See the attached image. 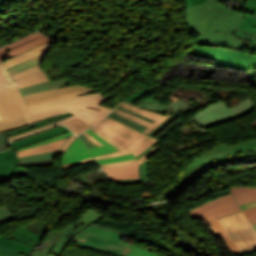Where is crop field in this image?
Segmentation results:
<instances>
[{"mask_svg": "<svg viewBox=\"0 0 256 256\" xmlns=\"http://www.w3.org/2000/svg\"><path fill=\"white\" fill-rule=\"evenodd\" d=\"M184 23L197 35L194 44L244 51L249 45L232 35L245 14L226 8L215 0L184 9Z\"/></svg>", "mask_w": 256, "mask_h": 256, "instance_id": "8a807250", "label": "crop field"}, {"mask_svg": "<svg viewBox=\"0 0 256 256\" xmlns=\"http://www.w3.org/2000/svg\"><path fill=\"white\" fill-rule=\"evenodd\" d=\"M109 97L110 96L101 97V93L99 92L48 103L30 105L28 108L31 114L26 115L30 124L45 118L63 114L68 111L74 113L75 115L58 123L10 137L9 140L12 141L14 139L53 127L76 116L80 117L81 119L93 126L94 124L98 123L104 116H106L110 111H112V109L108 107H102L98 105Z\"/></svg>", "mask_w": 256, "mask_h": 256, "instance_id": "ac0d7876", "label": "crop field"}, {"mask_svg": "<svg viewBox=\"0 0 256 256\" xmlns=\"http://www.w3.org/2000/svg\"><path fill=\"white\" fill-rule=\"evenodd\" d=\"M240 211L232 194H226L210 200L189 211L192 218H203L206 220L215 232L222 238L232 256L241 254L229 235L217 221V217H221L233 212Z\"/></svg>", "mask_w": 256, "mask_h": 256, "instance_id": "34b2d1b8", "label": "crop field"}, {"mask_svg": "<svg viewBox=\"0 0 256 256\" xmlns=\"http://www.w3.org/2000/svg\"><path fill=\"white\" fill-rule=\"evenodd\" d=\"M102 217L94 210L90 209L84 213L78 220L67 225L60 232L57 230H49L46 237L42 241L45 244L41 248H37L32 256H58L64 246L72 240L85 227ZM30 255V256H31Z\"/></svg>", "mask_w": 256, "mask_h": 256, "instance_id": "412701ff", "label": "crop field"}, {"mask_svg": "<svg viewBox=\"0 0 256 256\" xmlns=\"http://www.w3.org/2000/svg\"><path fill=\"white\" fill-rule=\"evenodd\" d=\"M102 125L107 127L108 129L114 131L115 133L123 136L124 138L130 140L131 142L128 143L126 146H121L115 141L111 140L95 128H90L93 132H95L97 135H99L101 138L112 144L114 147L119 149L120 151L102 155V156H96L95 159H103V158H108V157H113V156H118V155H123V154H129L133 153L135 156L138 155L140 152H142L144 149L149 147L151 144H153L156 140L145 136L113 119H110L106 117L103 119L101 122Z\"/></svg>", "mask_w": 256, "mask_h": 256, "instance_id": "f4fd0767", "label": "crop field"}, {"mask_svg": "<svg viewBox=\"0 0 256 256\" xmlns=\"http://www.w3.org/2000/svg\"><path fill=\"white\" fill-rule=\"evenodd\" d=\"M187 54L216 60L213 65L217 67L242 69L247 71L256 68V56L233 49L193 46Z\"/></svg>", "mask_w": 256, "mask_h": 256, "instance_id": "dd49c442", "label": "crop field"}, {"mask_svg": "<svg viewBox=\"0 0 256 256\" xmlns=\"http://www.w3.org/2000/svg\"><path fill=\"white\" fill-rule=\"evenodd\" d=\"M254 102L251 96L245 101L229 108L222 100L209 105L198 112L191 119L203 125L204 127L228 122L244 114L251 112L254 108Z\"/></svg>", "mask_w": 256, "mask_h": 256, "instance_id": "e52e79f7", "label": "crop field"}, {"mask_svg": "<svg viewBox=\"0 0 256 256\" xmlns=\"http://www.w3.org/2000/svg\"><path fill=\"white\" fill-rule=\"evenodd\" d=\"M242 254L256 251V230L242 211L218 218Z\"/></svg>", "mask_w": 256, "mask_h": 256, "instance_id": "d8731c3e", "label": "crop field"}, {"mask_svg": "<svg viewBox=\"0 0 256 256\" xmlns=\"http://www.w3.org/2000/svg\"><path fill=\"white\" fill-rule=\"evenodd\" d=\"M251 151H256V139L234 146H229L226 142H224L215 148L212 147L210 148L209 152L194 159L192 164L175 179L174 183L171 185L170 188H174L177 185L179 179H181V177L186 175L194 167L200 164L212 162L224 156H231Z\"/></svg>", "mask_w": 256, "mask_h": 256, "instance_id": "5a996713", "label": "crop field"}, {"mask_svg": "<svg viewBox=\"0 0 256 256\" xmlns=\"http://www.w3.org/2000/svg\"><path fill=\"white\" fill-rule=\"evenodd\" d=\"M72 242L113 256H127L132 247L116 240L81 232Z\"/></svg>", "mask_w": 256, "mask_h": 256, "instance_id": "3316defc", "label": "crop field"}, {"mask_svg": "<svg viewBox=\"0 0 256 256\" xmlns=\"http://www.w3.org/2000/svg\"><path fill=\"white\" fill-rule=\"evenodd\" d=\"M0 113L3 119L29 113L15 84L0 88Z\"/></svg>", "mask_w": 256, "mask_h": 256, "instance_id": "28ad6ade", "label": "crop field"}, {"mask_svg": "<svg viewBox=\"0 0 256 256\" xmlns=\"http://www.w3.org/2000/svg\"><path fill=\"white\" fill-rule=\"evenodd\" d=\"M94 92L99 91L81 85H69L57 89L34 93L24 97L27 101V104L30 105Z\"/></svg>", "mask_w": 256, "mask_h": 256, "instance_id": "d1516ede", "label": "crop field"}, {"mask_svg": "<svg viewBox=\"0 0 256 256\" xmlns=\"http://www.w3.org/2000/svg\"><path fill=\"white\" fill-rule=\"evenodd\" d=\"M51 41L52 40H50L48 37L40 32L31 34L27 37H24L0 48V61L6 60L31 48L37 47L45 43H49Z\"/></svg>", "mask_w": 256, "mask_h": 256, "instance_id": "22f410ed", "label": "crop field"}, {"mask_svg": "<svg viewBox=\"0 0 256 256\" xmlns=\"http://www.w3.org/2000/svg\"><path fill=\"white\" fill-rule=\"evenodd\" d=\"M40 235L32 233L22 227L13 232L10 236H1L0 244L30 254L40 239Z\"/></svg>", "mask_w": 256, "mask_h": 256, "instance_id": "cbeb9de0", "label": "crop field"}, {"mask_svg": "<svg viewBox=\"0 0 256 256\" xmlns=\"http://www.w3.org/2000/svg\"><path fill=\"white\" fill-rule=\"evenodd\" d=\"M15 150L0 152V182L10 184L14 176L26 177L29 168H17Z\"/></svg>", "mask_w": 256, "mask_h": 256, "instance_id": "5142ce71", "label": "crop field"}, {"mask_svg": "<svg viewBox=\"0 0 256 256\" xmlns=\"http://www.w3.org/2000/svg\"><path fill=\"white\" fill-rule=\"evenodd\" d=\"M119 106L124 107L126 109H129L131 111L137 112L139 114H142L144 116H147L149 118H152V119L156 120L153 124H151V123H149L147 121H144V120H142L140 118H137V117H135V116H133L131 114H128V113H126L124 111H121V110H119L117 108H115L113 110V112H115V113H117L119 115H122V116H124V117H126L128 119H131V120H133V121H135L137 123H140V124L148 127L145 131H143V133H146V134L151 132L155 127H157L161 122H163L167 117H169V115H164V114H160V113H156V112H151L149 110H145V109H141L139 107L132 106V105H130L128 103H121V104H119Z\"/></svg>", "mask_w": 256, "mask_h": 256, "instance_id": "d9b57169", "label": "crop field"}, {"mask_svg": "<svg viewBox=\"0 0 256 256\" xmlns=\"http://www.w3.org/2000/svg\"><path fill=\"white\" fill-rule=\"evenodd\" d=\"M51 43L39 46V47L34 48V49H31V50H29V51H27V52H25V53H23L19 56H16L14 58H11V59H8L6 61L1 62L0 63V71L2 72L4 77L7 79L9 84L14 83V80L12 79V77L9 75V73L6 71L5 68H8V67L13 66L15 64H18L20 62H23L27 59H30L32 57H35L37 55H40L42 53L47 52L48 47Z\"/></svg>", "mask_w": 256, "mask_h": 256, "instance_id": "733c2abd", "label": "crop field"}, {"mask_svg": "<svg viewBox=\"0 0 256 256\" xmlns=\"http://www.w3.org/2000/svg\"><path fill=\"white\" fill-rule=\"evenodd\" d=\"M13 79L18 84L19 88L41 83L50 80L43 69L40 67L17 74Z\"/></svg>", "mask_w": 256, "mask_h": 256, "instance_id": "4a817a6b", "label": "crop field"}, {"mask_svg": "<svg viewBox=\"0 0 256 256\" xmlns=\"http://www.w3.org/2000/svg\"><path fill=\"white\" fill-rule=\"evenodd\" d=\"M88 157L92 156L90 155L87 146L81 140L76 138L60 159L62 160L61 164H65Z\"/></svg>", "mask_w": 256, "mask_h": 256, "instance_id": "bc2a9ffb", "label": "crop field"}, {"mask_svg": "<svg viewBox=\"0 0 256 256\" xmlns=\"http://www.w3.org/2000/svg\"><path fill=\"white\" fill-rule=\"evenodd\" d=\"M103 169L111 179L139 178V164L106 167Z\"/></svg>", "mask_w": 256, "mask_h": 256, "instance_id": "214f88e0", "label": "crop field"}, {"mask_svg": "<svg viewBox=\"0 0 256 256\" xmlns=\"http://www.w3.org/2000/svg\"><path fill=\"white\" fill-rule=\"evenodd\" d=\"M211 94H213V93L203 94L202 98L208 97ZM170 98L174 100L172 102V104L168 107L165 106V107L161 108L159 111L166 113L167 111H169V108H173V111L175 113H171V115H177V116L183 114V112H182L183 110L187 109L189 106H193V105L197 104V102H199V100H201V98L190 99V97L188 100H186V99L183 100L181 97L175 98L173 95Z\"/></svg>", "mask_w": 256, "mask_h": 256, "instance_id": "92a150f3", "label": "crop field"}, {"mask_svg": "<svg viewBox=\"0 0 256 256\" xmlns=\"http://www.w3.org/2000/svg\"><path fill=\"white\" fill-rule=\"evenodd\" d=\"M231 192L239 205L256 201V187H233Z\"/></svg>", "mask_w": 256, "mask_h": 256, "instance_id": "dafd665d", "label": "crop field"}, {"mask_svg": "<svg viewBox=\"0 0 256 256\" xmlns=\"http://www.w3.org/2000/svg\"><path fill=\"white\" fill-rule=\"evenodd\" d=\"M44 56H45V54H42L40 56H37L30 60H27L23 63H20L18 65L8 68L7 71L10 73L11 76H13L17 73L38 67V66H40L41 62L43 61Z\"/></svg>", "mask_w": 256, "mask_h": 256, "instance_id": "00972430", "label": "crop field"}, {"mask_svg": "<svg viewBox=\"0 0 256 256\" xmlns=\"http://www.w3.org/2000/svg\"><path fill=\"white\" fill-rule=\"evenodd\" d=\"M69 84H71V83L65 79L54 82V83H52V81H47V82H44V83H41L38 85L22 88L21 91H22L23 95H26V94H30V93H34V92H38V91H42V90H47V89H51V88H57V87L69 85Z\"/></svg>", "mask_w": 256, "mask_h": 256, "instance_id": "a9b5d70f", "label": "crop field"}, {"mask_svg": "<svg viewBox=\"0 0 256 256\" xmlns=\"http://www.w3.org/2000/svg\"><path fill=\"white\" fill-rule=\"evenodd\" d=\"M71 115H73V114L68 112L66 114H63V115H60V116H57V117H54V118L42 120L40 122L31 124V126H29V127L18 129V130H15V131H12V132H9V133H6V134H7V137H10V136H13V135H17V134H20V133H23V132H27V131H30V130H33V129H36V128H39V127H42V126H45V125H48V124H51V123L58 122V121L66 118V117L71 116Z\"/></svg>", "mask_w": 256, "mask_h": 256, "instance_id": "4177f3b9", "label": "crop field"}, {"mask_svg": "<svg viewBox=\"0 0 256 256\" xmlns=\"http://www.w3.org/2000/svg\"><path fill=\"white\" fill-rule=\"evenodd\" d=\"M65 141H66V139L56 141L53 143H49V144L39 146L36 148L19 151V152H17V155H18V157H21V156H26V155H30V154L45 152V151L58 150Z\"/></svg>", "mask_w": 256, "mask_h": 256, "instance_id": "730fd06b", "label": "crop field"}, {"mask_svg": "<svg viewBox=\"0 0 256 256\" xmlns=\"http://www.w3.org/2000/svg\"><path fill=\"white\" fill-rule=\"evenodd\" d=\"M28 122L24 115L8 118L0 121V131L10 130L15 127L27 125Z\"/></svg>", "mask_w": 256, "mask_h": 256, "instance_id": "eef30255", "label": "crop field"}, {"mask_svg": "<svg viewBox=\"0 0 256 256\" xmlns=\"http://www.w3.org/2000/svg\"><path fill=\"white\" fill-rule=\"evenodd\" d=\"M66 131H69V129L64 127V128H61V129L49 132L47 134L41 135L39 137L33 138L31 140H28V141H25V142H22V143H19V144H16V145H11L10 149H17V148H21V147H24V146H27V145H30V144H34V143H36L38 141H42V140H44L46 138L53 137V136H56L58 134H62L64 132H66Z\"/></svg>", "mask_w": 256, "mask_h": 256, "instance_id": "ae1a2a85", "label": "crop field"}, {"mask_svg": "<svg viewBox=\"0 0 256 256\" xmlns=\"http://www.w3.org/2000/svg\"><path fill=\"white\" fill-rule=\"evenodd\" d=\"M86 132L89 133L95 139H97L99 142H101L102 144L105 145V146L95 147V148L89 149L93 156L102 155V154L110 153V152H113V151H118L116 148H114L112 145H110L109 143L102 140L100 137H98L96 134H94L89 129Z\"/></svg>", "mask_w": 256, "mask_h": 256, "instance_id": "d3111659", "label": "crop field"}, {"mask_svg": "<svg viewBox=\"0 0 256 256\" xmlns=\"http://www.w3.org/2000/svg\"><path fill=\"white\" fill-rule=\"evenodd\" d=\"M63 125H67L76 135L85 131L89 127V124L81 120L80 118L76 117L72 120L62 123Z\"/></svg>", "mask_w": 256, "mask_h": 256, "instance_id": "750c4746", "label": "crop field"}, {"mask_svg": "<svg viewBox=\"0 0 256 256\" xmlns=\"http://www.w3.org/2000/svg\"><path fill=\"white\" fill-rule=\"evenodd\" d=\"M148 172H149V165H148V161H146L142 165H140V179L113 180V181L121 184L145 182L148 178Z\"/></svg>", "mask_w": 256, "mask_h": 256, "instance_id": "bd1437ed", "label": "crop field"}, {"mask_svg": "<svg viewBox=\"0 0 256 256\" xmlns=\"http://www.w3.org/2000/svg\"><path fill=\"white\" fill-rule=\"evenodd\" d=\"M160 144L161 143L156 145L153 149H151L148 153H146L144 156H142L138 160L134 159V160H128V161H124V162H120V163H114V164H102L100 166L105 167V166L128 165V164H136V163L142 164L144 161H146L148 158H150L159 149Z\"/></svg>", "mask_w": 256, "mask_h": 256, "instance_id": "1d83c4d3", "label": "crop field"}, {"mask_svg": "<svg viewBox=\"0 0 256 256\" xmlns=\"http://www.w3.org/2000/svg\"><path fill=\"white\" fill-rule=\"evenodd\" d=\"M239 29L256 34V17L247 14L239 26Z\"/></svg>", "mask_w": 256, "mask_h": 256, "instance_id": "120bbe31", "label": "crop field"}, {"mask_svg": "<svg viewBox=\"0 0 256 256\" xmlns=\"http://www.w3.org/2000/svg\"><path fill=\"white\" fill-rule=\"evenodd\" d=\"M56 151L52 152H46V153H40V154H35L27 157H21L18 158L19 162H32V161H39V160H47V159H52Z\"/></svg>", "mask_w": 256, "mask_h": 256, "instance_id": "d32e631a", "label": "crop field"}, {"mask_svg": "<svg viewBox=\"0 0 256 256\" xmlns=\"http://www.w3.org/2000/svg\"><path fill=\"white\" fill-rule=\"evenodd\" d=\"M94 127L123 146L126 145L128 142H130V141L124 139L123 137L115 134L114 132L108 130L107 128H105L104 126H102L99 123L97 125H95Z\"/></svg>", "mask_w": 256, "mask_h": 256, "instance_id": "5866460e", "label": "crop field"}, {"mask_svg": "<svg viewBox=\"0 0 256 256\" xmlns=\"http://www.w3.org/2000/svg\"><path fill=\"white\" fill-rule=\"evenodd\" d=\"M84 231H85V232H89V233H93V234H97V235H101V236H105V237H109V238H112V239L119 240V239H117V238L110 237V236H108V235L100 234V233H97V232L88 231V230H84ZM119 241H121V240H119ZM122 242H123V241H122ZM124 243H126V242H124ZM127 244H129V243H127ZM129 245H131V244H129ZM131 246H133V245H131ZM133 247H134V249L129 253L128 256H156V255H154V254H152V253H150V252L141 250V249H139V248H137V247H135V246H133Z\"/></svg>", "mask_w": 256, "mask_h": 256, "instance_id": "028f5c9d", "label": "crop field"}, {"mask_svg": "<svg viewBox=\"0 0 256 256\" xmlns=\"http://www.w3.org/2000/svg\"><path fill=\"white\" fill-rule=\"evenodd\" d=\"M235 36L251 41V45L247 48L249 50L256 51V35L249 34L247 32L237 29Z\"/></svg>", "mask_w": 256, "mask_h": 256, "instance_id": "e1f06a70", "label": "crop field"}, {"mask_svg": "<svg viewBox=\"0 0 256 256\" xmlns=\"http://www.w3.org/2000/svg\"><path fill=\"white\" fill-rule=\"evenodd\" d=\"M109 116H111V117H113V118H115V119H117V120H119V121H121V122H123V123H125V124H127V125H129V126H131L133 128H135V129H137V130H139L141 132L144 129H146V127H144V126H142L140 124H137V123H135V122H133L131 120H128V119H126V118H124L122 116H119V115H117V114H115L113 112L111 114H109Z\"/></svg>", "mask_w": 256, "mask_h": 256, "instance_id": "0bd39190", "label": "crop field"}, {"mask_svg": "<svg viewBox=\"0 0 256 256\" xmlns=\"http://www.w3.org/2000/svg\"><path fill=\"white\" fill-rule=\"evenodd\" d=\"M15 217L13 214L7 209L6 206H0V224L7 222V221H12L14 220Z\"/></svg>", "mask_w": 256, "mask_h": 256, "instance_id": "b80d0937", "label": "crop field"}, {"mask_svg": "<svg viewBox=\"0 0 256 256\" xmlns=\"http://www.w3.org/2000/svg\"><path fill=\"white\" fill-rule=\"evenodd\" d=\"M1 256H27V254L11 249L7 246L0 245Z\"/></svg>", "mask_w": 256, "mask_h": 256, "instance_id": "c035e120", "label": "crop field"}, {"mask_svg": "<svg viewBox=\"0 0 256 256\" xmlns=\"http://www.w3.org/2000/svg\"><path fill=\"white\" fill-rule=\"evenodd\" d=\"M71 133H72V132L69 131V132H67V133H65V134H63V135H59V136H57V137L44 140V141H42V142H38V143H36V144H34V145L27 146V147L18 149V150H16V151L24 150V149L32 148V147H35V146L43 145V144H46V143H49V142H53V141H56V140L64 139V138L69 137Z\"/></svg>", "mask_w": 256, "mask_h": 256, "instance_id": "c21b1889", "label": "crop field"}, {"mask_svg": "<svg viewBox=\"0 0 256 256\" xmlns=\"http://www.w3.org/2000/svg\"><path fill=\"white\" fill-rule=\"evenodd\" d=\"M133 158H136V157L133 154H130V155H124V156H118V157L98 160L97 162L99 164H102V163H114V162H120V161H124V160H128V159H133Z\"/></svg>", "mask_w": 256, "mask_h": 256, "instance_id": "03da06ac", "label": "crop field"}, {"mask_svg": "<svg viewBox=\"0 0 256 256\" xmlns=\"http://www.w3.org/2000/svg\"><path fill=\"white\" fill-rule=\"evenodd\" d=\"M177 117L170 116L167 118L163 123H161L157 128H155L149 135L154 137L157 133H159L167 124H169L172 120L176 119Z\"/></svg>", "mask_w": 256, "mask_h": 256, "instance_id": "b54c1fbb", "label": "crop field"}, {"mask_svg": "<svg viewBox=\"0 0 256 256\" xmlns=\"http://www.w3.org/2000/svg\"><path fill=\"white\" fill-rule=\"evenodd\" d=\"M244 213L252 224L256 223V207L244 210Z\"/></svg>", "mask_w": 256, "mask_h": 256, "instance_id": "5d738f31", "label": "crop field"}, {"mask_svg": "<svg viewBox=\"0 0 256 256\" xmlns=\"http://www.w3.org/2000/svg\"><path fill=\"white\" fill-rule=\"evenodd\" d=\"M8 146L9 144L5 132H0V150H6Z\"/></svg>", "mask_w": 256, "mask_h": 256, "instance_id": "d23c7cc5", "label": "crop field"}, {"mask_svg": "<svg viewBox=\"0 0 256 256\" xmlns=\"http://www.w3.org/2000/svg\"><path fill=\"white\" fill-rule=\"evenodd\" d=\"M243 10L256 14V0H248V3Z\"/></svg>", "mask_w": 256, "mask_h": 256, "instance_id": "425ffa30", "label": "crop field"}, {"mask_svg": "<svg viewBox=\"0 0 256 256\" xmlns=\"http://www.w3.org/2000/svg\"><path fill=\"white\" fill-rule=\"evenodd\" d=\"M89 161H94V160H93V158H88V159H84V160H81V161H77V162L61 165V169L62 168H66V167H71V166H77V165L85 164V163H88Z\"/></svg>", "mask_w": 256, "mask_h": 256, "instance_id": "25e5ab78", "label": "crop field"}, {"mask_svg": "<svg viewBox=\"0 0 256 256\" xmlns=\"http://www.w3.org/2000/svg\"><path fill=\"white\" fill-rule=\"evenodd\" d=\"M204 1L205 0H182V3H183V7H189V6L197 5V4L202 3ZM216 1H218V0H216Z\"/></svg>", "mask_w": 256, "mask_h": 256, "instance_id": "73cf0c24", "label": "crop field"}, {"mask_svg": "<svg viewBox=\"0 0 256 256\" xmlns=\"http://www.w3.org/2000/svg\"><path fill=\"white\" fill-rule=\"evenodd\" d=\"M88 230H93V231H97V232H101V233H105V234H108V235H110V236H114V237H117V238H121V236L120 235H117V234H115V233H112V232H108V231H105V230H102V229H98V228H94V227H88L87 228Z\"/></svg>", "mask_w": 256, "mask_h": 256, "instance_id": "89e229c0", "label": "crop field"}, {"mask_svg": "<svg viewBox=\"0 0 256 256\" xmlns=\"http://www.w3.org/2000/svg\"><path fill=\"white\" fill-rule=\"evenodd\" d=\"M77 136H75L74 134L72 135V137L65 143V145L61 148V150L59 152H57V154L59 153H64L67 148L71 145V143L73 142V140L76 138Z\"/></svg>", "mask_w": 256, "mask_h": 256, "instance_id": "1f2cbd36", "label": "crop field"}, {"mask_svg": "<svg viewBox=\"0 0 256 256\" xmlns=\"http://www.w3.org/2000/svg\"><path fill=\"white\" fill-rule=\"evenodd\" d=\"M117 108H119V109H121V110H124V111H126V112H128V113H131V114H133V115H135V116H137V117H140V118H142V119H144V120H147V121H149V122H151V123L154 122V120H152V119H149V118L144 117V116H142V115L136 114V113H134V112H131V111L126 110V109H124V108H121V107H119V106H118Z\"/></svg>", "mask_w": 256, "mask_h": 256, "instance_id": "dbb93151", "label": "crop field"}, {"mask_svg": "<svg viewBox=\"0 0 256 256\" xmlns=\"http://www.w3.org/2000/svg\"><path fill=\"white\" fill-rule=\"evenodd\" d=\"M78 137L81 138V139L88 145L89 148L96 146L93 142H91V141H90L86 136H84L83 134L79 135Z\"/></svg>", "mask_w": 256, "mask_h": 256, "instance_id": "0fb4a251", "label": "crop field"}, {"mask_svg": "<svg viewBox=\"0 0 256 256\" xmlns=\"http://www.w3.org/2000/svg\"><path fill=\"white\" fill-rule=\"evenodd\" d=\"M236 164H256V157H252L248 160H245V161H242V162H239V163H233V164H230V165H236Z\"/></svg>", "mask_w": 256, "mask_h": 256, "instance_id": "1d79db26", "label": "crop field"}, {"mask_svg": "<svg viewBox=\"0 0 256 256\" xmlns=\"http://www.w3.org/2000/svg\"><path fill=\"white\" fill-rule=\"evenodd\" d=\"M92 226L99 227V228H102V229H105V230H108V231L116 232V233L121 234V235H123V236H126V237H128V238H131V235L126 234V233H123V232L115 231V230L108 229V228L101 227V226H97V225H94V224H93Z\"/></svg>", "mask_w": 256, "mask_h": 256, "instance_id": "9d1cf04e", "label": "crop field"}, {"mask_svg": "<svg viewBox=\"0 0 256 256\" xmlns=\"http://www.w3.org/2000/svg\"><path fill=\"white\" fill-rule=\"evenodd\" d=\"M159 141L155 142L153 145H151L149 148H147L146 150H144L142 153H140L138 156H136L137 158H140L142 155H144L146 152H148L151 148H153L156 144H158Z\"/></svg>", "mask_w": 256, "mask_h": 256, "instance_id": "447ae74e", "label": "crop field"}, {"mask_svg": "<svg viewBox=\"0 0 256 256\" xmlns=\"http://www.w3.org/2000/svg\"><path fill=\"white\" fill-rule=\"evenodd\" d=\"M61 127H64V126H60V127H57V128L51 129V130H48V131L43 132V133H41V134L47 133V132H49V131H52V130H55V129H58V128H61ZM41 134H39V135H41ZM39 135H36V136H39ZM36 136H34V137H36ZM31 138H33V137H31ZM31 138H27V139H24V140H20V141H17V142H15V143H11V144H16V143H19V142H22V141H25V140H28V139H31Z\"/></svg>", "mask_w": 256, "mask_h": 256, "instance_id": "0765c3eb", "label": "crop field"}, {"mask_svg": "<svg viewBox=\"0 0 256 256\" xmlns=\"http://www.w3.org/2000/svg\"><path fill=\"white\" fill-rule=\"evenodd\" d=\"M8 85V82L6 79L3 77V75L0 72V86Z\"/></svg>", "mask_w": 256, "mask_h": 256, "instance_id": "db79e9e6", "label": "crop field"}, {"mask_svg": "<svg viewBox=\"0 0 256 256\" xmlns=\"http://www.w3.org/2000/svg\"><path fill=\"white\" fill-rule=\"evenodd\" d=\"M254 206H256V202H252V203H249V204H246V205H242L240 207L244 210V209L254 207Z\"/></svg>", "mask_w": 256, "mask_h": 256, "instance_id": "7b73153f", "label": "crop field"}, {"mask_svg": "<svg viewBox=\"0 0 256 256\" xmlns=\"http://www.w3.org/2000/svg\"><path fill=\"white\" fill-rule=\"evenodd\" d=\"M83 134H85L91 141H93L97 146H101L102 144L99 143L97 140H95L94 138H92L90 135H88L86 132H84Z\"/></svg>", "mask_w": 256, "mask_h": 256, "instance_id": "78b8030e", "label": "crop field"}, {"mask_svg": "<svg viewBox=\"0 0 256 256\" xmlns=\"http://www.w3.org/2000/svg\"><path fill=\"white\" fill-rule=\"evenodd\" d=\"M5 11H7V10L0 7V14L4 13Z\"/></svg>", "mask_w": 256, "mask_h": 256, "instance_id": "0f1d7ab4", "label": "crop field"}, {"mask_svg": "<svg viewBox=\"0 0 256 256\" xmlns=\"http://www.w3.org/2000/svg\"><path fill=\"white\" fill-rule=\"evenodd\" d=\"M7 1H11V0H0V5H1L3 2H7Z\"/></svg>", "mask_w": 256, "mask_h": 256, "instance_id": "e1d0b9f6", "label": "crop field"}, {"mask_svg": "<svg viewBox=\"0 0 256 256\" xmlns=\"http://www.w3.org/2000/svg\"><path fill=\"white\" fill-rule=\"evenodd\" d=\"M2 119L1 115H0V120Z\"/></svg>", "mask_w": 256, "mask_h": 256, "instance_id": "ae633e8c", "label": "crop field"}, {"mask_svg": "<svg viewBox=\"0 0 256 256\" xmlns=\"http://www.w3.org/2000/svg\"><path fill=\"white\" fill-rule=\"evenodd\" d=\"M254 226H255V228H256V224H255Z\"/></svg>", "mask_w": 256, "mask_h": 256, "instance_id": "d14b1444", "label": "crop field"}, {"mask_svg": "<svg viewBox=\"0 0 256 256\" xmlns=\"http://www.w3.org/2000/svg\"><path fill=\"white\" fill-rule=\"evenodd\" d=\"M254 128H256V126H253Z\"/></svg>", "mask_w": 256, "mask_h": 256, "instance_id": "c39391a2", "label": "crop field"}]
</instances>
